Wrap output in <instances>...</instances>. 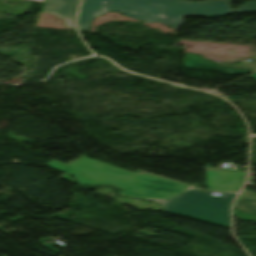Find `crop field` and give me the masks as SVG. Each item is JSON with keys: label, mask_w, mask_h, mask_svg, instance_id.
I'll list each match as a JSON object with an SVG mask.
<instances>
[{"label": "crop field", "mask_w": 256, "mask_h": 256, "mask_svg": "<svg viewBox=\"0 0 256 256\" xmlns=\"http://www.w3.org/2000/svg\"><path fill=\"white\" fill-rule=\"evenodd\" d=\"M143 199H144V198H143ZM148 200H151V201H154V202H157V203L161 204V205H162V208H163V203L165 202V201H163V200H154V199H148Z\"/></svg>", "instance_id": "crop-field-6"}, {"label": "crop field", "mask_w": 256, "mask_h": 256, "mask_svg": "<svg viewBox=\"0 0 256 256\" xmlns=\"http://www.w3.org/2000/svg\"><path fill=\"white\" fill-rule=\"evenodd\" d=\"M32 1H39V2H44L45 0H32Z\"/></svg>", "instance_id": "crop-field-8"}, {"label": "crop field", "mask_w": 256, "mask_h": 256, "mask_svg": "<svg viewBox=\"0 0 256 256\" xmlns=\"http://www.w3.org/2000/svg\"><path fill=\"white\" fill-rule=\"evenodd\" d=\"M78 2L79 0H46L42 12L53 14L59 19H63L65 27H74L73 21Z\"/></svg>", "instance_id": "crop-field-4"}, {"label": "crop field", "mask_w": 256, "mask_h": 256, "mask_svg": "<svg viewBox=\"0 0 256 256\" xmlns=\"http://www.w3.org/2000/svg\"><path fill=\"white\" fill-rule=\"evenodd\" d=\"M235 207L249 211L256 215V194L244 189Z\"/></svg>", "instance_id": "crop-field-5"}, {"label": "crop field", "mask_w": 256, "mask_h": 256, "mask_svg": "<svg viewBox=\"0 0 256 256\" xmlns=\"http://www.w3.org/2000/svg\"><path fill=\"white\" fill-rule=\"evenodd\" d=\"M45 165L69 173L78 183L114 184L125 189L121 195L167 200L164 211L229 226V206L235 193L218 197L195 189L185 193L188 185L136 175L85 156L68 165L54 160Z\"/></svg>", "instance_id": "crop-field-1"}, {"label": "crop field", "mask_w": 256, "mask_h": 256, "mask_svg": "<svg viewBox=\"0 0 256 256\" xmlns=\"http://www.w3.org/2000/svg\"><path fill=\"white\" fill-rule=\"evenodd\" d=\"M245 172L206 171L207 186L211 191L237 192Z\"/></svg>", "instance_id": "crop-field-3"}, {"label": "crop field", "mask_w": 256, "mask_h": 256, "mask_svg": "<svg viewBox=\"0 0 256 256\" xmlns=\"http://www.w3.org/2000/svg\"><path fill=\"white\" fill-rule=\"evenodd\" d=\"M250 77H252V78L256 79V73H254V74L250 75Z\"/></svg>", "instance_id": "crop-field-7"}, {"label": "crop field", "mask_w": 256, "mask_h": 256, "mask_svg": "<svg viewBox=\"0 0 256 256\" xmlns=\"http://www.w3.org/2000/svg\"><path fill=\"white\" fill-rule=\"evenodd\" d=\"M108 10L147 23L160 22L175 29L183 22V16L216 17L233 12H252L256 11V1L247 2L237 10H230L229 1L189 3L182 0H84L78 20L79 28L88 31L92 18Z\"/></svg>", "instance_id": "crop-field-2"}]
</instances>
